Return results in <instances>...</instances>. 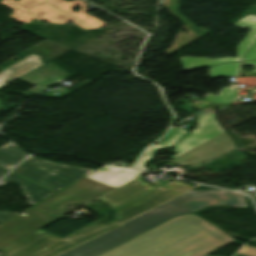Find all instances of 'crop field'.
I'll list each match as a JSON object with an SVG mask.
<instances>
[{"instance_id":"5a996713","label":"crop field","mask_w":256,"mask_h":256,"mask_svg":"<svg viewBox=\"0 0 256 256\" xmlns=\"http://www.w3.org/2000/svg\"><path fill=\"white\" fill-rule=\"evenodd\" d=\"M236 26L251 28L246 34L244 40H242L237 46V58L232 57L209 59V58H194V57H179L185 70L209 66L227 61L241 60L242 57L247 53L251 46L256 41V16L247 15L243 19L233 23Z\"/></svg>"},{"instance_id":"a9b5d70f","label":"crop field","mask_w":256,"mask_h":256,"mask_svg":"<svg viewBox=\"0 0 256 256\" xmlns=\"http://www.w3.org/2000/svg\"><path fill=\"white\" fill-rule=\"evenodd\" d=\"M6 172H7V171H5V170H3V169L0 168V177H1L2 175H4Z\"/></svg>"},{"instance_id":"dafd665d","label":"crop field","mask_w":256,"mask_h":256,"mask_svg":"<svg viewBox=\"0 0 256 256\" xmlns=\"http://www.w3.org/2000/svg\"><path fill=\"white\" fill-rule=\"evenodd\" d=\"M248 59H256V44L253 46V48L249 51V53L244 58V60H248Z\"/></svg>"},{"instance_id":"bc2a9ffb","label":"crop field","mask_w":256,"mask_h":256,"mask_svg":"<svg viewBox=\"0 0 256 256\" xmlns=\"http://www.w3.org/2000/svg\"><path fill=\"white\" fill-rule=\"evenodd\" d=\"M233 241V240H232ZM202 246H204L209 252L223 246L222 244H220L217 241L214 240H209V239H205L202 238L200 241H198ZM231 242V241H230ZM229 243V242H228ZM227 244V243H226ZM225 245V244H224Z\"/></svg>"},{"instance_id":"34b2d1b8","label":"crop field","mask_w":256,"mask_h":256,"mask_svg":"<svg viewBox=\"0 0 256 256\" xmlns=\"http://www.w3.org/2000/svg\"><path fill=\"white\" fill-rule=\"evenodd\" d=\"M192 187L175 181L166 186L159 187L156 190L134 201L133 199L155 189L144 182L141 176L132 182L118 188L99 200L105 202L108 206L118 209L120 206L133 200L134 202L116 210L115 221L104 225H89L65 238L41 250L32 256H51L74 244L97 235L105 230L121 224V222L158 205Z\"/></svg>"},{"instance_id":"4177f3b9","label":"crop field","mask_w":256,"mask_h":256,"mask_svg":"<svg viewBox=\"0 0 256 256\" xmlns=\"http://www.w3.org/2000/svg\"><path fill=\"white\" fill-rule=\"evenodd\" d=\"M206 227H208V228H216V227H214V226H212V225H210V224H207Z\"/></svg>"},{"instance_id":"ac0d7876","label":"crop field","mask_w":256,"mask_h":256,"mask_svg":"<svg viewBox=\"0 0 256 256\" xmlns=\"http://www.w3.org/2000/svg\"><path fill=\"white\" fill-rule=\"evenodd\" d=\"M206 224L193 214L177 216L101 256H203L209 252L197 242L201 237L232 240Z\"/></svg>"},{"instance_id":"92a150f3","label":"crop field","mask_w":256,"mask_h":256,"mask_svg":"<svg viewBox=\"0 0 256 256\" xmlns=\"http://www.w3.org/2000/svg\"><path fill=\"white\" fill-rule=\"evenodd\" d=\"M16 214L17 213H12V212H0V223Z\"/></svg>"},{"instance_id":"d8731c3e","label":"crop field","mask_w":256,"mask_h":256,"mask_svg":"<svg viewBox=\"0 0 256 256\" xmlns=\"http://www.w3.org/2000/svg\"><path fill=\"white\" fill-rule=\"evenodd\" d=\"M233 148L235 146L225 132L171 161L177 165L197 164L213 159Z\"/></svg>"},{"instance_id":"214f88e0","label":"crop field","mask_w":256,"mask_h":256,"mask_svg":"<svg viewBox=\"0 0 256 256\" xmlns=\"http://www.w3.org/2000/svg\"><path fill=\"white\" fill-rule=\"evenodd\" d=\"M243 64H252L256 68V61H243ZM256 75V69L251 72L240 71L239 76Z\"/></svg>"},{"instance_id":"28ad6ade","label":"crop field","mask_w":256,"mask_h":256,"mask_svg":"<svg viewBox=\"0 0 256 256\" xmlns=\"http://www.w3.org/2000/svg\"><path fill=\"white\" fill-rule=\"evenodd\" d=\"M142 173L133 169L104 166L85 177L117 188Z\"/></svg>"},{"instance_id":"dd49c442","label":"crop field","mask_w":256,"mask_h":256,"mask_svg":"<svg viewBox=\"0 0 256 256\" xmlns=\"http://www.w3.org/2000/svg\"><path fill=\"white\" fill-rule=\"evenodd\" d=\"M26 217L19 214L0 224V249L35 232L57 218L33 210H25Z\"/></svg>"},{"instance_id":"5142ce71","label":"crop field","mask_w":256,"mask_h":256,"mask_svg":"<svg viewBox=\"0 0 256 256\" xmlns=\"http://www.w3.org/2000/svg\"><path fill=\"white\" fill-rule=\"evenodd\" d=\"M27 155L11 142L0 147V166L9 170Z\"/></svg>"},{"instance_id":"e52e79f7","label":"crop field","mask_w":256,"mask_h":256,"mask_svg":"<svg viewBox=\"0 0 256 256\" xmlns=\"http://www.w3.org/2000/svg\"><path fill=\"white\" fill-rule=\"evenodd\" d=\"M196 124L188 136L173 146L174 152L178 154L170 157V160L225 132L215 120V113L198 115Z\"/></svg>"},{"instance_id":"f4fd0767","label":"crop field","mask_w":256,"mask_h":256,"mask_svg":"<svg viewBox=\"0 0 256 256\" xmlns=\"http://www.w3.org/2000/svg\"><path fill=\"white\" fill-rule=\"evenodd\" d=\"M112 189L114 188L108 185L84 178L55 193L33 207L61 218L64 216L62 210L64 205L74 202H90Z\"/></svg>"},{"instance_id":"cbeb9de0","label":"crop field","mask_w":256,"mask_h":256,"mask_svg":"<svg viewBox=\"0 0 256 256\" xmlns=\"http://www.w3.org/2000/svg\"><path fill=\"white\" fill-rule=\"evenodd\" d=\"M41 65L42 64L39 61L38 57L35 55H31L23 59L22 61L14 64L13 66L9 67L11 72L6 78L2 80V82L6 84Z\"/></svg>"},{"instance_id":"00972430","label":"crop field","mask_w":256,"mask_h":256,"mask_svg":"<svg viewBox=\"0 0 256 256\" xmlns=\"http://www.w3.org/2000/svg\"><path fill=\"white\" fill-rule=\"evenodd\" d=\"M9 72H10V70H9V68H8V69H6L5 71H3V72L0 74V87H1L2 85H4V84L1 82V80H2L4 77H6Z\"/></svg>"},{"instance_id":"8a807250","label":"crop field","mask_w":256,"mask_h":256,"mask_svg":"<svg viewBox=\"0 0 256 256\" xmlns=\"http://www.w3.org/2000/svg\"><path fill=\"white\" fill-rule=\"evenodd\" d=\"M211 205L247 207L244 195L240 193L191 191L59 256H99L177 215L193 213Z\"/></svg>"},{"instance_id":"733c2abd","label":"crop field","mask_w":256,"mask_h":256,"mask_svg":"<svg viewBox=\"0 0 256 256\" xmlns=\"http://www.w3.org/2000/svg\"><path fill=\"white\" fill-rule=\"evenodd\" d=\"M240 62L227 63L210 67L209 76H237Z\"/></svg>"},{"instance_id":"3316defc","label":"crop field","mask_w":256,"mask_h":256,"mask_svg":"<svg viewBox=\"0 0 256 256\" xmlns=\"http://www.w3.org/2000/svg\"><path fill=\"white\" fill-rule=\"evenodd\" d=\"M60 239L38 230L0 251L5 253L4 256H30Z\"/></svg>"},{"instance_id":"d9b57169","label":"crop field","mask_w":256,"mask_h":256,"mask_svg":"<svg viewBox=\"0 0 256 256\" xmlns=\"http://www.w3.org/2000/svg\"><path fill=\"white\" fill-rule=\"evenodd\" d=\"M179 0H162V4L166 10L173 14L179 21H181L185 26H187L191 31H193L200 38L209 33L210 31L206 29H199L194 25L190 20H188L184 15H182L178 9L180 5L178 4Z\"/></svg>"},{"instance_id":"d1516ede","label":"crop field","mask_w":256,"mask_h":256,"mask_svg":"<svg viewBox=\"0 0 256 256\" xmlns=\"http://www.w3.org/2000/svg\"><path fill=\"white\" fill-rule=\"evenodd\" d=\"M8 180H12L14 182H16L20 189L22 190V192L25 194V196L27 197L28 204H35L38 201L42 200L43 198L47 197L48 195L52 194L53 192L38 186L28 180H25L13 173H10L8 176H6L4 179H2L0 181V185H2L3 183H5Z\"/></svg>"},{"instance_id":"412701ff","label":"crop field","mask_w":256,"mask_h":256,"mask_svg":"<svg viewBox=\"0 0 256 256\" xmlns=\"http://www.w3.org/2000/svg\"><path fill=\"white\" fill-rule=\"evenodd\" d=\"M92 171L84 168L54 164L34 157L26 159L13 170V172L54 192Z\"/></svg>"},{"instance_id":"22f410ed","label":"crop field","mask_w":256,"mask_h":256,"mask_svg":"<svg viewBox=\"0 0 256 256\" xmlns=\"http://www.w3.org/2000/svg\"><path fill=\"white\" fill-rule=\"evenodd\" d=\"M188 131L177 127L172 128L166 135V137L154 146H150L140 160L136 163L134 168L146 170L144 164L150 160L154 153L160 149L168 148L173 145L176 141L182 138Z\"/></svg>"},{"instance_id":"4a817a6b","label":"crop field","mask_w":256,"mask_h":256,"mask_svg":"<svg viewBox=\"0 0 256 256\" xmlns=\"http://www.w3.org/2000/svg\"><path fill=\"white\" fill-rule=\"evenodd\" d=\"M235 85L231 84V87L220 90V95L215 96L207 93L204 98L211 102L229 103L237 95V90H234Z\"/></svg>"}]
</instances>
